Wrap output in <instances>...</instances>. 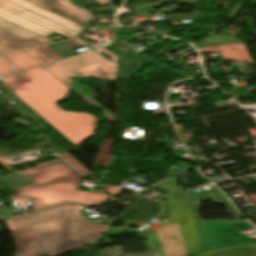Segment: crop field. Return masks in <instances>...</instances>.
Segmentation results:
<instances>
[{"label":"crop field","mask_w":256,"mask_h":256,"mask_svg":"<svg viewBox=\"0 0 256 256\" xmlns=\"http://www.w3.org/2000/svg\"><path fill=\"white\" fill-rule=\"evenodd\" d=\"M80 211L61 206L6 219L16 256H54L93 243L107 225H93Z\"/></svg>","instance_id":"8a807250"},{"label":"crop field","mask_w":256,"mask_h":256,"mask_svg":"<svg viewBox=\"0 0 256 256\" xmlns=\"http://www.w3.org/2000/svg\"><path fill=\"white\" fill-rule=\"evenodd\" d=\"M54 77L40 67L3 78L0 82L80 147L93 136L97 120L90 114L66 112L59 107L56 103L65 98L70 89Z\"/></svg>","instance_id":"ac0d7876"},{"label":"crop field","mask_w":256,"mask_h":256,"mask_svg":"<svg viewBox=\"0 0 256 256\" xmlns=\"http://www.w3.org/2000/svg\"><path fill=\"white\" fill-rule=\"evenodd\" d=\"M82 177L64 162L0 177V183L20 196L31 198L33 210L55 204L99 205L104 194L77 191Z\"/></svg>","instance_id":"34b2d1b8"},{"label":"crop field","mask_w":256,"mask_h":256,"mask_svg":"<svg viewBox=\"0 0 256 256\" xmlns=\"http://www.w3.org/2000/svg\"><path fill=\"white\" fill-rule=\"evenodd\" d=\"M159 190H165L169 195L172 224L163 225L154 233L152 240L160 243L159 251L163 256H188L205 250L203 240L198 230L195 218L187 197L175 179L156 184ZM166 243V245H163Z\"/></svg>","instance_id":"412701ff"},{"label":"crop field","mask_w":256,"mask_h":256,"mask_svg":"<svg viewBox=\"0 0 256 256\" xmlns=\"http://www.w3.org/2000/svg\"><path fill=\"white\" fill-rule=\"evenodd\" d=\"M207 249L256 242L252 234L240 235V230L254 227L248 222L227 223L223 220L196 221Z\"/></svg>","instance_id":"f4fd0767"},{"label":"crop field","mask_w":256,"mask_h":256,"mask_svg":"<svg viewBox=\"0 0 256 256\" xmlns=\"http://www.w3.org/2000/svg\"><path fill=\"white\" fill-rule=\"evenodd\" d=\"M69 78L96 76L112 80L116 75L117 64L110 62L93 51L54 64Z\"/></svg>","instance_id":"dd49c442"},{"label":"crop field","mask_w":256,"mask_h":256,"mask_svg":"<svg viewBox=\"0 0 256 256\" xmlns=\"http://www.w3.org/2000/svg\"><path fill=\"white\" fill-rule=\"evenodd\" d=\"M0 17H3L44 37L54 32H58L68 38H72L77 35V33L71 30L21 9L4 0H0Z\"/></svg>","instance_id":"e52e79f7"},{"label":"crop field","mask_w":256,"mask_h":256,"mask_svg":"<svg viewBox=\"0 0 256 256\" xmlns=\"http://www.w3.org/2000/svg\"><path fill=\"white\" fill-rule=\"evenodd\" d=\"M0 43L14 50H18L54 43V41L0 18Z\"/></svg>","instance_id":"d8731c3e"},{"label":"crop field","mask_w":256,"mask_h":256,"mask_svg":"<svg viewBox=\"0 0 256 256\" xmlns=\"http://www.w3.org/2000/svg\"><path fill=\"white\" fill-rule=\"evenodd\" d=\"M186 195L188 197L196 219H200V215L197 212V209L200 207L199 201L204 200H210L213 203H221L227 207L233 218H241L240 215L225 198V196L218 189L208 190L199 194H196L192 190H189L186 192Z\"/></svg>","instance_id":"5a996713"},{"label":"crop field","mask_w":256,"mask_h":256,"mask_svg":"<svg viewBox=\"0 0 256 256\" xmlns=\"http://www.w3.org/2000/svg\"><path fill=\"white\" fill-rule=\"evenodd\" d=\"M10 3H13L19 7H22L30 12H33L39 16H42L48 20H51L57 24H60L68 29H71L77 33L81 32V30L83 29V26L73 22V21H70L60 15H57L51 11H48L44 8H41L35 4H32L26 0H6Z\"/></svg>","instance_id":"3316defc"},{"label":"crop field","mask_w":256,"mask_h":256,"mask_svg":"<svg viewBox=\"0 0 256 256\" xmlns=\"http://www.w3.org/2000/svg\"><path fill=\"white\" fill-rule=\"evenodd\" d=\"M201 53L219 52L223 61L252 63L244 43L199 49Z\"/></svg>","instance_id":"28ad6ade"},{"label":"crop field","mask_w":256,"mask_h":256,"mask_svg":"<svg viewBox=\"0 0 256 256\" xmlns=\"http://www.w3.org/2000/svg\"><path fill=\"white\" fill-rule=\"evenodd\" d=\"M147 60L148 58L145 56H133L125 53H120L118 77L120 79L128 80L143 67L140 65H135L134 71H132L133 65H120V63L143 64L146 63Z\"/></svg>","instance_id":"d1516ede"},{"label":"crop field","mask_w":256,"mask_h":256,"mask_svg":"<svg viewBox=\"0 0 256 256\" xmlns=\"http://www.w3.org/2000/svg\"><path fill=\"white\" fill-rule=\"evenodd\" d=\"M4 55L23 71L40 66L22 51L6 53Z\"/></svg>","instance_id":"22f410ed"},{"label":"crop field","mask_w":256,"mask_h":256,"mask_svg":"<svg viewBox=\"0 0 256 256\" xmlns=\"http://www.w3.org/2000/svg\"><path fill=\"white\" fill-rule=\"evenodd\" d=\"M4 56L3 55L0 56V76L1 77L22 71Z\"/></svg>","instance_id":"cbeb9de0"},{"label":"crop field","mask_w":256,"mask_h":256,"mask_svg":"<svg viewBox=\"0 0 256 256\" xmlns=\"http://www.w3.org/2000/svg\"><path fill=\"white\" fill-rule=\"evenodd\" d=\"M48 1H50V2H52V3H55V4H57V5L61 6V7H64V8H66V9L70 10V11H73V12H75V13L81 15V16H84V17L90 19V20H92L93 18H95V17L92 16L90 13L85 12V11H83V10H81V9H79V8H77V7H75V6H73V5L70 3L69 0H48Z\"/></svg>","instance_id":"5142ce71"},{"label":"crop field","mask_w":256,"mask_h":256,"mask_svg":"<svg viewBox=\"0 0 256 256\" xmlns=\"http://www.w3.org/2000/svg\"><path fill=\"white\" fill-rule=\"evenodd\" d=\"M46 68L53 76H55L59 81H61L64 85L70 87L72 80H70L66 75H64L58 68H56L53 64L43 66Z\"/></svg>","instance_id":"d9b57169"},{"label":"crop field","mask_w":256,"mask_h":256,"mask_svg":"<svg viewBox=\"0 0 256 256\" xmlns=\"http://www.w3.org/2000/svg\"><path fill=\"white\" fill-rule=\"evenodd\" d=\"M49 46H51L53 49H55L64 58L76 55V53L69 46H67L64 42L50 44Z\"/></svg>","instance_id":"733c2abd"},{"label":"crop field","mask_w":256,"mask_h":256,"mask_svg":"<svg viewBox=\"0 0 256 256\" xmlns=\"http://www.w3.org/2000/svg\"><path fill=\"white\" fill-rule=\"evenodd\" d=\"M36 49L52 62L63 59L62 56H60L55 50H53L48 45L37 47Z\"/></svg>","instance_id":"4a817a6b"},{"label":"crop field","mask_w":256,"mask_h":256,"mask_svg":"<svg viewBox=\"0 0 256 256\" xmlns=\"http://www.w3.org/2000/svg\"><path fill=\"white\" fill-rule=\"evenodd\" d=\"M34 60H36L41 65L51 63L47 58H45L40 52H38L35 48L22 50Z\"/></svg>","instance_id":"bc2a9ffb"},{"label":"crop field","mask_w":256,"mask_h":256,"mask_svg":"<svg viewBox=\"0 0 256 256\" xmlns=\"http://www.w3.org/2000/svg\"><path fill=\"white\" fill-rule=\"evenodd\" d=\"M28 1H30V2H32V3H35V4L39 5V6H42V7L46 8V9H48V10H51V11L57 13V14H60V15L66 17V18H68V19H70V20H73V21H75V22H77V23H79V24H81V25H83V26L86 25V23H84V22H82V21H80V20H78V19H75V18H73V17H71V16H69V15H67V14H64V13H62V12L56 10V9H53V8H51V7H49V6L45 5V4H42V3H40V2H38V1H36V0H28Z\"/></svg>","instance_id":"214f88e0"},{"label":"crop field","mask_w":256,"mask_h":256,"mask_svg":"<svg viewBox=\"0 0 256 256\" xmlns=\"http://www.w3.org/2000/svg\"><path fill=\"white\" fill-rule=\"evenodd\" d=\"M100 187L104 192L112 197H117L123 190L121 187L115 186H105V185H97Z\"/></svg>","instance_id":"92a150f3"},{"label":"crop field","mask_w":256,"mask_h":256,"mask_svg":"<svg viewBox=\"0 0 256 256\" xmlns=\"http://www.w3.org/2000/svg\"><path fill=\"white\" fill-rule=\"evenodd\" d=\"M38 1H40V2H42V3H45V4H47V5H49V6L53 7V8H56V9H58V10L64 12V13H67V14H69V15L75 17V18H78V19H80V20H82V21H84V22H86V23H88V21H90V20H88V19H86V18H84V17H81V16H79V15H77V14H75V13H72V12H70V11L64 9V8H61V7H59V6L55 5V4H52V3H50V2H48V1H46V0H38Z\"/></svg>","instance_id":"dafd665d"},{"label":"crop field","mask_w":256,"mask_h":256,"mask_svg":"<svg viewBox=\"0 0 256 256\" xmlns=\"http://www.w3.org/2000/svg\"><path fill=\"white\" fill-rule=\"evenodd\" d=\"M131 224L136 225L137 222L128 220V222L125 224L124 227H122V228H120V229H117V228H115V227H109V229H108L107 232L109 233V236L118 235V234L122 233L124 229H126V230L132 232L133 230L127 228V227H128L129 225H131Z\"/></svg>","instance_id":"00972430"},{"label":"crop field","mask_w":256,"mask_h":256,"mask_svg":"<svg viewBox=\"0 0 256 256\" xmlns=\"http://www.w3.org/2000/svg\"><path fill=\"white\" fill-rule=\"evenodd\" d=\"M155 5L143 7V8H138L132 10L134 14H143V13H156V12H161L160 10H155L153 7Z\"/></svg>","instance_id":"a9b5d70f"},{"label":"crop field","mask_w":256,"mask_h":256,"mask_svg":"<svg viewBox=\"0 0 256 256\" xmlns=\"http://www.w3.org/2000/svg\"><path fill=\"white\" fill-rule=\"evenodd\" d=\"M65 43H66L67 45H69L72 49L78 48V47H82V46H86V44H85L84 42H82V41H81L80 39H78V38L65 41Z\"/></svg>","instance_id":"4177f3b9"},{"label":"crop field","mask_w":256,"mask_h":256,"mask_svg":"<svg viewBox=\"0 0 256 256\" xmlns=\"http://www.w3.org/2000/svg\"><path fill=\"white\" fill-rule=\"evenodd\" d=\"M9 51H13V50L0 44V53L9 52Z\"/></svg>","instance_id":"730fd06b"},{"label":"crop field","mask_w":256,"mask_h":256,"mask_svg":"<svg viewBox=\"0 0 256 256\" xmlns=\"http://www.w3.org/2000/svg\"><path fill=\"white\" fill-rule=\"evenodd\" d=\"M153 3H156V2H153ZM142 5H144V4L143 3L132 4V8L142 6Z\"/></svg>","instance_id":"eef30255"},{"label":"crop field","mask_w":256,"mask_h":256,"mask_svg":"<svg viewBox=\"0 0 256 256\" xmlns=\"http://www.w3.org/2000/svg\"><path fill=\"white\" fill-rule=\"evenodd\" d=\"M158 1L160 2V1H165V0H158Z\"/></svg>","instance_id":"ae1a2a85"}]
</instances>
